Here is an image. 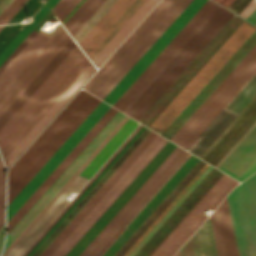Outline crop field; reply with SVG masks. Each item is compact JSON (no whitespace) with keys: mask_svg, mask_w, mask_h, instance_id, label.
Here are the masks:
<instances>
[{"mask_svg":"<svg viewBox=\"0 0 256 256\" xmlns=\"http://www.w3.org/2000/svg\"><path fill=\"white\" fill-rule=\"evenodd\" d=\"M221 5L225 6L226 8L232 3L233 0H214Z\"/></svg>","mask_w":256,"mask_h":256,"instance_id":"obj_53","label":"crop field"},{"mask_svg":"<svg viewBox=\"0 0 256 256\" xmlns=\"http://www.w3.org/2000/svg\"><path fill=\"white\" fill-rule=\"evenodd\" d=\"M80 0H59L51 9L60 22Z\"/></svg>","mask_w":256,"mask_h":256,"instance_id":"obj_43","label":"crop field"},{"mask_svg":"<svg viewBox=\"0 0 256 256\" xmlns=\"http://www.w3.org/2000/svg\"><path fill=\"white\" fill-rule=\"evenodd\" d=\"M136 126L137 122L129 118L6 256H21L55 219V217L66 207L69 203V201L65 199L67 195L70 192L79 191Z\"/></svg>","mask_w":256,"mask_h":256,"instance_id":"obj_7","label":"crop field"},{"mask_svg":"<svg viewBox=\"0 0 256 256\" xmlns=\"http://www.w3.org/2000/svg\"><path fill=\"white\" fill-rule=\"evenodd\" d=\"M233 14L220 6L124 113L138 121Z\"/></svg>","mask_w":256,"mask_h":256,"instance_id":"obj_5","label":"crop field"},{"mask_svg":"<svg viewBox=\"0 0 256 256\" xmlns=\"http://www.w3.org/2000/svg\"><path fill=\"white\" fill-rule=\"evenodd\" d=\"M249 22L255 24L256 23V9L253 11V13L246 19Z\"/></svg>","mask_w":256,"mask_h":256,"instance_id":"obj_52","label":"crop field"},{"mask_svg":"<svg viewBox=\"0 0 256 256\" xmlns=\"http://www.w3.org/2000/svg\"><path fill=\"white\" fill-rule=\"evenodd\" d=\"M255 72L256 44L169 140L187 149Z\"/></svg>","mask_w":256,"mask_h":256,"instance_id":"obj_4","label":"crop field"},{"mask_svg":"<svg viewBox=\"0 0 256 256\" xmlns=\"http://www.w3.org/2000/svg\"><path fill=\"white\" fill-rule=\"evenodd\" d=\"M243 20L244 19L234 14L196 56V58L187 66V68L178 76V78L170 85V87L161 95V97L152 105V107L143 115L139 122L143 124L146 123L145 126L148 127Z\"/></svg>","mask_w":256,"mask_h":256,"instance_id":"obj_13","label":"crop field"},{"mask_svg":"<svg viewBox=\"0 0 256 256\" xmlns=\"http://www.w3.org/2000/svg\"><path fill=\"white\" fill-rule=\"evenodd\" d=\"M256 121V96L200 157L215 166Z\"/></svg>","mask_w":256,"mask_h":256,"instance_id":"obj_26","label":"crop field"},{"mask_svg":"<svg viewBox=\"0 0 256 256\" xmlns=\"http://www.w3.org/2000/svg\"><path fill=\"white\" fill-rule=\"evenodd\" d=\"M255 125L256 122L249 128V130L239 139V141L230 149V151L220 160V162L215 167H219V165L228 157V155L237 147V145L245 138V136L253 129Z\"/></svg>","mask_w":256,"mask_h":256,"instance_id":"obj_51","label":"crop field"},{"mask_svg":"<svg viewBox=\"0 0 256 256\" xmlns=\"http://www.w3.org/2000/svg\"><path fill=\"white\" fill-rule=\"evenodd\" d=\"M256 8V0H252L238 15L247 18Z\"/></svg>","mask_w":256,"mask_h":256,"instance_id":"obj_49","label":"crop field"},{"mask_svg":"<svg viewBox=\"0 0 256 256\" xmlns=\"http://www.w3.org/2000/svg\"><path fill=\"white\" fill-rule=\"evenodd\" d=\"M49 11L50 10L44 4L43 7L32 18L34 21L32 22V20H30V23H32H28L25 28L16 36V38L7 46V48L0 54V64Z\"/></svg>","mask_w":256,"mask_h":256,"instance_id":"obj_35","label":"crop field"},{"mask_svg":"<svg viewBox=\"0 0 256 256\" xmlns=\"http://www.w3.org/2000/svg\"><path fill=\"white\" fill-rule=\"evenodd\" d=\"M256 43V29L244 41V43L235 51V53L226 61L218 72L209 80V82L200 90L192 101L183 109V111L174 119V121L161 134L170 138L173 133L183 124V122L192 114V112L202 103V101L212 92V90L221 82V80L231 71V69L241 60V58ZM175 134V133H174Z\"/></svg>","mask_w":256,"mask_h":256,"instance_id":"obj_24","label":"crop field"},{"mask_svg":"<svg viewBox=\"0 0 256 256\" xmlns=\"http://www.w3.org/2000/svg\"><path fill=\"white\" fill-rule=\"evenodd\" d=\"M79 91L8 170L7 205L101 101Z\"/></svg>","mask_w":256,"mask_h":256,"instance_id":"obj_2","label":"crop field"},{"mask_svg":"<svg viewBox=\"0 0 256 256\" xmlns=\"http://www.w3.org/2000/svg\"><path fill=\"white\" fill-rule=\"evenodd\" d=\"M210 220H211L217 255L226 256L216 210L210 217Z\"/></svg>","mask_w":256,"mask_h":256,"instance_id":"obj_42","label":"crop field"},{"mask_svg":"<svg viewBox=\"0 0 256 256\" xmlns=\"http://www.w3.org/2000/svg\"><path fill=\"white\" fill-rule=\"evenodd\" d=\"M174 256H179V252L177 251V253Z\"/></svg>","mask_w":256,"mask_h":256,"instance_id":"obj_56","label":"crop field"},{"mask_svg":"<svg viewBox=\"0 0 256 256\" xmlns=\"http://www.w3.org/2000/svg\"><path fill=\"white\" fill-rule=\"evenodd\" d=\"M206 0H193L160 38L151 46L143 57L107 95L109 104H113L116 99L126 90L135 78L145 69V67L155 58L164 46L174 37V35L184 26L193 14L203 5Z\"/></svg>","mask_w":256,"mask_h":256,"instance_id":"obj_19","label":"crop field"},{"mask_svg":"<svg viewBox=\"0 0 256 256\" xmlns=\"http://www.w3.org/2000/svg\"><path fill=\"white\" fill-rule=\"evenodd\" d=\"M5 173L0 161V227L4 223Z\"/></svg>","mask_w":256,"mask_h":256,"instance_id":"obj_47","label":"crop field"},{"mask_svg":"<svg viewBox=\"0 0 256 256\" xmlns=\"http://www.w3.org/2000/svg\"><path fill=\"white\" fill-rule=\"evenodd\" d=\"M116 0H106L100 8L93 14V16L85 23V25L77 32V34L73 37L75 41L78 43L81 38L90 30V28L99 20V18L108 10V8L115 2Z\"/></svg>","mask_w":256,"mask_h":256,"instance_id":"obj_40","label":"crop field"},{"mask_svg":"<svg viewBox=\"0 0 256 256\" xmlns=\"http://www.w3.org/2000/svg\"><path fill=\"white\" fill-rule=\"evenodd\" d=\"M237 184V181L223 174L151 256H172L204 221L206 218L203 215L204 210L208 208L214 210Z\"/></svg>","mask_w":256,"mask_h":256,"instance_id":"obj_12","label":"crop field"},{"mask_svg":"<svg viewBox=\"0 0 256 256\" xmlns=\"http://www.w3.org/2000/svg\"><path fill=\"white\" fill-rule=\"evenodd\" d=\"M209 165H205L202 170L193 178V180L184 188V190L175 198V200L165 209V211L156 219V221L147 229V231L138 239V241L124 255L128 256L131 251L140 243V241L149 233V231L159 222V220L168 212V210L177 202V200L186 192V190L195 182V180L204 172Z\"/></svg>","mask_w":256,"mask_h":256,"instance_id":"obj_41","label":"crop field"},{"mask_svg":"<svg viewBox=\"0 0 256 256\" xmlns=\"http://www.w3.org/2000/svg\"><path fill=\"white\" fill-rule=\"evenodd\" d=\"M129 117H125L123 121L114 129V131L105 139V141L96 149V151L87 159V161L78 169V171L69 179V181L61 188V190L52 198V200L43 208V210L34 218V220L25 228V230L16 238V240L7 248L2 256H5L14 245L22 238V236L31 228V226L39 219V217L48 209V207L56 200V198L65 190V188L74 180V178L82 171V169L91 161V159L99 152V150L108 142V140L116 133V131L125 123Z\"/></svg>","mask_w":256,"mask_h":256,"instance_id":"obj_34","label":"crop field"},{"mask_svg":"<svg viewBox=\"0 0 256 256\" xmlns=\"http://www.w3.org/2000/svg\"><path fill=\"white\" fill-rule=\"evenodd\" d=\"M157 2V0H145L139 8L131 15V17L122 25V27L113 35V37L104 45V47L91 60L96 67H99L110 53L118 46L125 36L133 29V27L141 20V18L149 11V9Z\"/></svg>","mask_w":256,"mask_h":256,"instance_id":"obj_29","label":"crop field"},{"mask_svg":"<svg viewBox=\"0 0 256 256\" xmlns=\"http://www.w3.org/2000/svg\"><path fill=\"white\" fill-rule=\"evenodd\" d=\"M126 115L117 112L115 116L106 124V126L97 134L89 145L80 153L72 164L63 172V174L54 182L46 193L37 201L29 212L20 220V222L7 235L6 248L15 240V238L24 230V228L33 220V218L42 210V208L51 200V198L60 190L68 179L77 171V169L86 161V159L95 151V149L104 141V139L113 131V129L122 121Z\"/></svg>","mask_w":256,"mask_h":256,"instance_id":"obj_15","label":"crop field"},{"mask_svg":"<svg viewBox=\"0 0 256 256\" xmlns=\"http://www.w3.org/2000/svg\"><path fill=\"white\" fill-rule=\"evenodd\" d=\"M50 37L38 33L25 49L15 58V60L0 75V93L27 65V63L46 44Z\"/></svg>","mask_w":256,"mask_h":256,"instance_id":"obj_30","label":"crop field"},{"mask_svg":"<svg viewBox=\"0 0 256 256\" xmlns=\"http://www.w3.org/2000/svg\"><path fill=\"white\" fill-rule=\"evenodd\" d=\"M192 0H161L84 86L100 99L118 83Z\"/></svg>","mask_w":256,"mask_h":256,"instance_id":"obj_1","label":"crop field"},{"mask_svg":"<svg viewBox=\"0 0 256 256\" xmlns=\"http://www.w3.org/2000/svg\"><path fill=\"white\" fill-rule=\"evenodd\" d=\"M149 132L150 130L146 128L142 131V133L133 141V143L108 169V171L100 178V180L91 188V190L66 216V218L58 225V227L49 235V237L41 244V246L33 253L32 256H38L47 247V245L56 237V235L65 227V225L74 217V215L83 207V205L92 197V195L101 187V185L110 177V175L119 167V165L128 157V155L137 147V145L146 137Z\"/></svg>","mask_w":256,"mask_h":256,"instance_id":"obj_27","label":"crop field"},{"mask_svg":"<svg viewBox=\"0 0 256 256\" xmlns=\"http://www.w3.org/2000/svg\"><path fill=\"white\" fill-rule=\"evenodd\" d=\"M256 171V159L252 162V164L242 173V175L237 179L239 181L244 180L246 177L251 175Z\"/></svg>","mask_w":256,"mask_h":256,"instance_id":"obj_50","label":"crop field"},{"mask_svg":"<svg viewBox=\"0 0 256 256\" xmlns=\"http://www.w3.org/2000/svg\"><path fill=\"white\" fill-rule=\"evenodd\" d=\"M180 256H201L197 233L179 249Z\"/></svg>","mask_w":256,"mask_h":256,"instance_id":"obj_44","label":"crop field"},{"mask_svg":"<svg viewBox=\"0 0 256 256\" xmlns=\"http://www.w3.org/2000/svg\"><path fill=\"white\" fill-rule=\"evenodd\" d=\"M222 174L213 168L135 256H150Z\"/></svg>","mask_w":256,"mask_h":256,"instance_id":"obj_22","label":"crop field"},{"mask_svg":"<svg viewBox=\"0 0 256 256\" xmlns=\"http://www.w3.org/2000/svg\"><path fill=\"white\" fill-rule=\"evenodd\" d=\"M12 0H4L1 4H0V13L4 10V8L11 2Z\"/></svg>","mask_w":256,"mask_h":256,"instance_id":"obj_54","label":"crop field"},{"mask_svg":"<svg viewBox=\"0 0 256 256\" xmlns=\"http://www.w3.org/2000/svg\"><path fill=\"white\" fill-rule=\"evenodd\" d=\"M255 158L256 126L218 169L237 179Z\"/></svg>","mask_w":256,"mask_h":256,"instance_id":"obj_28","label":"crop field"},{"mask_svg":"<svg viewBox=\"0 0 256 256\" xmlns=\"http://www.w3.org/2000/svg\"><path fill=\"white\" fill-rule=\"evenodd\" d=\"M256 95V74L242 88V90L228 104L240 112ZM226 106L221 113L209 124V126L200 134L202 137L196 145L190 150L193 154L200 157L204 151L214 142V140L223 132V130L240 113L230 106ZM192 145L189 147V149Z\"/></svg>","mask_w":256,"mask_h":256,"instance_id":"obj_20","label":"crop field"},{"mask_svg":"<svg viewBox=\"0 0 256 256\" xmlns=\"http://www.w3.org/2000/svg\"><path fill=\"white\" fill-rule=\"evenodd\" d=\"M145 127L143 126L139 132L130 140V142L121 150V152L112 160V162L103 170V172L94 180V182L85 190V192L76 200V202L68 209V211L60 218V220L52 227L45 237L37 244V246L29 253H32L40 246V244L48 237V235L57 227V225L65 218V216L74 208V206L82 199V197L90 190V188L99 180V178L107 171V169L116 161V159L124 152V150L132 143V141L141 133Z\"/></svg>","mask_w":256,"mask_h":256,"instance_id":"obj_39","label":"crop field"},{"mask_svg":"<svg viewBox=\"0 0 256 256\" xmlns=\"http://www.w3.org/2000/svg\"><path fill=\"white\" fill-rule=\"evenodd\" d=\"M188 155L189 153L166 177V179L157 187V189L147 198V200L138 208V210L129 218V220L123 225L124 227L153 196V194L161 187V185L169 178V176L178 168V166L186 159ZM198 160L199 159L195 158L192 155L187 159V161L185 160L186 162L184 161L185 163L183 162L184 164L182 163L183 165L181 164L182 166H179L180 168L178 169V171L176 170L177 172L175 171L176 173L174 172L175 174L173 173L174 175L172 174L173 176H170L171 178L168 180V182L166 181L167 183L165 182L166 184L164 183L165 185H162L163 187L159 190V192L157 191L158 193L156 192L157 194H154L155 196L150 200V202L148 201L149 203L147 202L148 204L146 203L147 205L140 211V213L138 212L139 214L137 213L138 215L131 221V223L129 222L130 224L126 228L122 226L124 229L122 227L121 228L123 230L120 228L122 231L119 229L121 231H119L120 234L117 232L119 235L116 233L118 236L115 234L117 237L114 235L116 238L113 236L115 239L113 237L112 238L114 240L111 238L113 241L110 239L112 241H110L111 244L108 242L110 245L107 243L109 246L106 244L108 247L105 245L107 248L104 246L106 249L103 247L105 250L102 248L104 251L101 249L103 251L102 252L100 250L102 254L100 252L99 253L101 255L99 253L98 254L100 256H113L116 251L124 244V242L132 235V233L140 226V224L149 216V214L158 206V204L167 196V194L176 186V184L185 176V174L194 166V164Z\"/></svg>","mask_w":256,"mask_h":256,"instance_id":"obj_16","label":"crop field"},{"mask_svg":"<svg viewBox=\"0 0 256 256\" xmlns=\"http://www.w3.org/2000/svg\"><path fill=\"white\" fill-rule=\"evenodd\" d=\"M58 0H49L46 4L51 9Z\"/></svg>","mask_w":256,"mask_h":256,"instance_id":"obj_55","label":"crop field"},{"mask_svg":"<svg viewBox=\"0 0 256 256\" xmlns=\"http://www.w3.org/2000/svg\"><path fill=\"white\" fill-rule=\"evenodd\" d=\"M95 71L89 62L86 67L77 75L61 95L52 103L44 114L35 122L19 142L3 158L6 166H9L13 160L22 152V150L32 141V139L42 130V128L51 120V118L61 109V107L71 98V96L80 88V86Z\"/></svg>","mask_w":256,"mask_h":256,"instance_id":"obj_25","label":"crop field"},{"mask_svg":"<svg viewBox=\"0 0 256 256\" xmlns=\"http://www.w3.org/2000/svg\"><path fill=\"white\" fill-rule=\"evenodd\" d=\"M89 62L76 45L29 99L0 129L3 157Z\"/></svg>","mask_w":256,"mask_h":256,"instance_id":"obj_3","label":"crop field"},{"mask_svg":"<svg viewBox=\"0 0 256 256\" xmlns=\"http://www.w3.org/2000/svg\"><path fill=\"white\" fill-rule=\"evenodd\" d=\"M104 102L89 114V116L80 124L72 135L63 143L55 154L46 162V164L37 172L29 183L20 191V193L7 206V221L19 209V207L28 199L36 188L45 180V178L54 170L62 159L71 151V149L80 141L88 130L97 122V120L109 108Z\"/></svg>","mask_w":256,"mask_h":256,"instance_id":"obj_14","label":"crop field"},{"mask_svg":"<svg viewBox=\"0 0 256 256\" xmlns=\"http://www.w3.org/2000/svg\"><path fill=\"white\" fill-rule=\"evenodd\" d=\"M143 1L144 0H117L82 38L78 44L88 55L90 60Z\"/></svg>","mask_w":256,"mask_h":256,"instance_id":"obj_18","label":"crop field"},{"mask_svg":"<svg viewBox=\"0 0 256 256\" xmlns=\"http://www.w3.org/2000/svg\"><path fill=\"white\" fill-rule=\"evenodd\" d=\"M202 256H215L208 219L197 230Z\"/></svg>","mask_w":256,"mask_h":256,"instance_id":"obj_38","label":"crop field"},{"mask_svg":"<svg viewBox=\"0 0 256 256\" xmlns=\"http://www.w3.org/2000/svg\"><path fill=\"white\" fill-rule=\"evenodd\" d=\"M37 32L32 31L21 44L11 53V55L0 66V74L14 60V58L23 50V48L33 39Z\"/></svg>","mask_w":256,"mask_h":256,"instance_id":"obj_46","label":"crop field"},{"mask_svg":"<svg viewBox=\"0 0 256 256\" xmlns=\"http://www.w3.org/2000/svg\"><path fill=\"white\" fill-rule=\"evenodd\" d=\"M26 0H13V2L0 15V24H6L10 18L20 9ZM3 26L0 27V29Z\"/></svg>","mask_w":256,"mask_h":256,"instance_id":"obj_45","label":"crop field"},{"mask_svg":"<svg viewBox=\"0 0 256 256\" xmlns=\"http://www.w3.org/2000/svg\"><path fill=\"white\" fill-rule=\"evenodd\" d=\"M255 28L256 27L252 24L244 20L197 72V74L188 82V84L179 92V94L170 102V104L161 112V114L152 122L149 128L157 132L159 131L161 134Z\"/></svg>","mask_w":256,"mask_h":256,"instance_id":"obj_6","label":"crop field"},{"mask_svg":"<svg viewBox=\"0 0 256 256\" xmlns=\"http://www.w3.org/2000/svg\"><path fill=\"white\" fill-rule=\"evenodd\" d=\"M227 256H238L227 200L217 208Z\"/></svg>","mask_w":256,"mask_h":256,"instance_id":"obj_33","label":"crop field"},{"mask_svg":"<svg viewBox=\"0 0 256 256\" xmlns=\"http://www.w3.org/2000/svg\"><path fill=\"white\" fill-rule=\"evenodd\" d=\"M211 166V165H210ZM208 167L205 172L196 180V182L187 190V192L178 200V202L169 210V212L160 220V222L151 230V232L141 241V243L132 251L129 256L135 253L144 245V243L153 235V233L163 224V222L172 214V212L181 204V202L190 194V192L199 184V182L208 174L212 167Z\"/></svg>","mask_w":256,"mask_h":256,"instance_id":"obj_37","label":"crop field"},{"mask_svg":"<svg viewBox=\"0 0 256 256\" xmlns=\"http://www.w3.org/2000/svg\"><path fill=\"white\" fill-rule=\"evenodd\" d=\"M249 2L250 0H234L228 9L238 14Z\"/></svg>","mask_w":256,"mask_h":256,"instance_id":"obj_48","label":"crop field"},{"mask_svg":"<svg viewBox=\"0 0 256 256\" xmlns=\"http://www.w3.org/2000/svg\"><path fill=\"white\" fill-rule=\"evenodd\" d=\"M3 0H0V3L2 2Z\"/></svg>","mask_w":256,"mask_h":256,"instance_id":"obj_57","label":"crop field"},{"mask_svg":"<svg viewBox=\"0 0 256 256\" xmlns=\"http://www.w3.org/2000/svg\"><path fill=\"white\" fill-rule=\"evenodd\" d=\"M167 141L158 135L51 256H65Z\"/></svg>","mask_w":256,"mask_h":256,"instance_id":"obj_11","label":"crop field"},{"mask_svg":"<svg viewBox=\"0 0 256 256\" xmlns=\"http://www.w3.org/2000/svg\"><path fill=\"white\" fill-rule=\"evenodd\" d=\"M219 6L207 0L112 106L123 112Z\"/></svg>","mask_w":256,"mask_h":256,"instance_id":"obj_8","label":"crop field"},{"mask_svg":"<svg viewBox=\"0 0 256 256\" xmlns=\"http://www.w3.org/2000/svg\"><path fill=\"white\" fill-rule=\"evenodd\" d=\"M227 199L239 256H256V174L238 185Z\"/></svg>","mask_w":256,"mask_h":256,"instance_id":"obj_10","label":"crop field"},{"mask_svg":"<svg viewBox=\"0 0 256 256\" xmlns=\"http://www.w3.org/2000/svg\"><path fill=\"white\" fill-rule=\"evenodd\" d=\"M105 0H85L63 25L73 37Z\"/></svg>","mask_w":256,"mask_h":256,"instance_id":"obj_32","label":"crop field"},{"mask_svg":"<svg viewBox=\"0 0 256 256\" xmlns=\"http://www.w3.org/2000/svg\"><path fill=\"white\" fill-rule=\"evenodd\" d=\"M157 135L158 134L152 131L148 134V136L139 144V146L130 154V156L121 164V166L112 174V176L85 204V206L76 214V216L67 224V226L49 244V246L40 254V256H50L52 254V252L69 235V233L86 216V214L103 197V195L111 188V186L120 178V176L128 169V167L137 159V157L145 150V148L154 140V138Z\"/></svg>","mask_w":256,"mask_h":256,"instance_id":"obj_23","label":"crop field"},{"mask_svg":"<svg viewBox=\"0 0 256 256\" xmlns=\"http://www.w3.org/2000/svg\"><path fill=\"white\" fill-rule=\"evenodd\" d=\"M75 45L76 44L71 39L67 45L57 54V56L55 55L56 57L0 117V128L8 121V119L17 111V109L26 101V99L35 91V89L44 81V79L53 71V69L62 61V59L71 51Z\"/></svg>","mask_w":256,"mask_h":256,"instance_id":"obj_31","label":"crop field"},{"mask_svg":"<svg viewBox=\"0 0 256 256\" xmlns=\"http://www.w3.org/2000/svg\"><path fill=\"white\" fill-rule=\"evenodd\" d=\"M143 125H139L136 130L127 138V140L118 148V150L109 158V160L100 168V170L91 178V180L84 186L79 194L71 201V203L59 214V216L47 227V229L38 237V239L29 247V249L22 255L26 256L29 251L38 243V241L47 233V231L56 223V221L65 213V211L74 203V201L84 192V190L93 182V180L102 172V170L111 162V160L120 152V150L129 142V140L138 132Z\"/></svg>","mask_w":256,"mask_h":256,"instance_id":"obj_36","label":"crop field"},{"mask_svg":"<svg viewBox=\"0 0 256 256\" xmlns=\"http://www.w3.org/2000/svg\"><path fill=\"white\" fill-rule=\"evenodd\" d=\"M61 27L23 71L0 95V116L70 40Z\"/></svg>","mask_w":256,"mask_h":256,"instance_id":"obj_17","label":"crop field"},{"mask_svg":"<svg viewBox=\"0 0 256 256\" xmlns=\"http://www.w3.org/2000/svg\"><path fill=\"white\" fill-rule=\"evenodd\" d=\"M117 110L109 108L107 112L98 120V122L89 130L81 141L72 149V151L63 159L55 170L46 178V180L37 188L29 199L20 207V209L7 222V234L19 222V220L28 212L36 201L45 193L53 182L62 174V172L71 164L79 153L88 145L96 134L105 126V124L114 116Z\"/></svg>","mask_w":256,"mask_h":256,"instance_id":"obj_21","label":"crop field"},{"mask_svg":"<svg viewBox=\"0 0 256 256\" xmlns=\"http://www.w3.org/2000/svg\"><path fill=\"white\" fill-rule=\"evenodd\" d=\"M187 153L176 146L78 256H95Z\"/></svg>","mask_w":256,"mask_h":256,"instance_id":"obj_9","label":"crop field"}]
</instances>
